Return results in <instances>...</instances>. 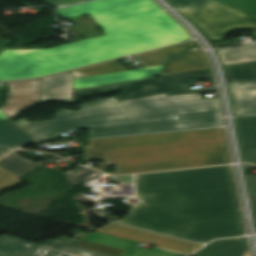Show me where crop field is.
<instances>
[{
  "label": "crop field",
  "mask_w": 256,
  "mask_h": 256,
  "mask_svg": "<svg viewBox=\"0 0 256 256\" xmlns=\"http://www.w3.org/2000/svg\"><path fill=\"white\" fill-rule=\"evenodd\" d=\"M178 119L89 128L90 138L165 132L222 125L220 111L177 114Z\"/></svg>",
  "instance_id": "6"
},
{
  "label": "crop field",
  "mask_w": 256,
  "mask_h": 256,
  "mask_svg": "<svg viewBox=\"0 0 256 256\" xmlns=\"http://www.w3.org/2000/svg\"><path fill=\"white\" fill-rule=\"evenodd\" d=\"M254 206V215L256 216V197H251Z\"/></svg>",
  "instance_id": "44"
},
{
  "label": "crop field",
  "mask_w": 256,
  "mask_h": 256,
  "mask_svg": "<svg viewBox=\"0 0 256 256\" xmlns=\"http://www.w3.org/2000/svg\"><path fill=\"white\" fill-rule=\"evenodd\" d=\"M210 237L222 238L244 235L242 218L195 224Z\"/></svg>",
  "instance_id": "20"
},
{
  "label": "crop field",
  "mask_w": 256,
  "mask_h": 256,
  "mask_svg": "<svg viewBox=\"0 0 256 256\" xmlns=\"http://www.w3.org/2000/svg\"><path fill=\"white\" fill-rule=\"evenodd\" d=\"M96 231L112 234L115 236L179 251L185 254H190L195 249L201 247L202 245L191 243L188 241L151 233L143 230H138L114 223H107L103 227Z\"/></svg>",
  "instance_id": "9"
},
{
  "label": "crop field",
  "mask_w": 256,
  "mask_h": 256,
  "mask_svg": "<svg viewBox=\"0 0 256 256\" xmlns=\"http://www.w3.org/2000/svg\"><path fill=\"white\" fill-rule=\"evenodd\" d=\"M218 52L225 65L254 61L256 60V43H250L244 47L222 49Z\"/></svg>",
  "instance_id": "23"
},
{
  "label": "crop field",
  "mask_w": 256,
  "mask_h": 256,
  "mask_svg": "<svg viewBox=\"0 0 256 256\" xmlns=\"http://www.w3.org/2000/svg\"><path fill=\"white\" fill-rule=\"evenodd\" d=\"M0 165L19 177L35 169L41 164L27 161L13 152L4 159L0 160Z\"/></svg>",
  "instance_id": "25"
},
{
  "label": "crop field",
  "mask_w": 256,
  "mask_h": 256,
  "mask_svg": "<svg viewBox=\"0 0 256 256\" xmlns=\"http://www.w3.org/2000/svg\"><path fill=\"white\" fill-rule=\"evenodd\" d=\"M180 141L176 132L90 140L85 152Z\"/></svg>",
  "instance_id": "10"
},
{
  "label": "crop field",
  "mask_w": 256,
  "mask_h": 256,
  "mask_svg": "<svg viewBox=\"0 0 256 256\" xmlns=\"http://www.w3.org/2000/svg\"><path fill=\"white\" fill-rule=\"evenodd\" d=\"M255 220H256V217H255Z\"/></svg>",
  "instance_id": "47"
},
{
  "label": "crop field",
  "mask_w": 256,
  "mask_h": 256,
  "mask_svg": "<svg viewBox=\"0 0 256 256\" xmlns=\"http://www.w3.org/2000/svg\"><path fill=\"white\" fill-rule=\"evenodd\" d=\"M12 150H14V149H12V148H2V147H0V157H2V156H4L5 154L11 152Z\"/></svg>",
  "instance_id": "42"
},
{
  "label": "crop field",
  "mask_w": 256,
  "mask_h": 256,
  "mask_svg": "<svg viewBox=\"0 0 256 256\" xmlns=\"http://www.w3.org/2000/svg\"><path fill=\"white\" fill-rule=\"evenodd\" d=\"M137 198L141 201L140 204L132 206L124 219L115 222L197 243L212 240L156 195L137 196Z\"/></svg>",
  "instance_id": "5"
},
{
  "label": "crop field",
  "mask_w": 256,
  "mask_h": 256,
  "mask_svg": "<svg viewBox=\"0 0 256 256\" xmlns=\"http://www.w3.org/2000/svg\"><path fill=\"white\" fill-rule=\"evenodd\" d=\"M197 48L198 47L193 48L177 57L172 58L161 71L160 75L210 67L204 52L196 51L195 49Z\"/></svg>",
  "instance_id": "16"
},
{
  "label": "crop field",
  "mask_w": 256,
  "mask_h": 256,
  "mask_svg": "<svg viewBox=\"0 0 256 256\" xmlns=\"http://www.w3.org/2000/svg\"><path fill=\"white\" fill-rule=\"evenodd\" d=\"M181 141L225 136L223 128L177 132Z\"/></svg>",
  "instance_id": "32"
},
{
  "label": "crop field",
  "mask_w": 256,
  "mask_h": 256,
  "mask_svg": "<svg viewBox=\"0 0 256 256\" xmlns=\"http://www.w3.org/2000/svg\"><path fill=\"white\" fill-rule=\"evenodd\" d=\"M49 241H51V240H48L42 246H45V247H48L51 249H53V248L56 249L58 247L59 249L57 251H60V252L66 253V254H71V255H74L78 251L82 250V251L91 253L90 256H109V255H105V254L91 251L88 249L73 246L77 241L67 239L63 236H61L57 240L53 241V243H50Z\"/></svg>",
  "instance_id": "29"
},
{
  "label": "crop field",
  "mask_w": 256,
  "mask_h": 256,
  "mask_svg": "<svg viewBox=\"0 0 256 256\" xmlns=\"http://www.w3.org/2000/svg\"><path fill=\"white\" fill-rule=\"evenodd\" d=\"M11 40L0 39V53L6 49Z\"/></svg>",
  "instance_id": "41"
},
{
  "label": "crop field",
  "mask_w": 256,
  "mask_h": 256,
  "mask_svg": "<svg viewBox=\"0 0 256 256\" xmlns=\"http://www.w3.org/2000/svg\"><path fill=\"white\" fill-rule=\"evenodd\" d=\"M246 248L221 241H214L192 256H243Z\"/></svg>",
  "instance_id": "24"
},
{
  "label": "crop field",
  "mask_w": 256,
  "mask_h": 256,
  "mask_svg": "<svg viewBox=\"0 0 256 256\" xmlns=\"http://www.w3.org/2000/svg\"><path fill=\"white\" fill-rule=\"evenodd\" d=\"M80 111H56L55 119L27 122L15 121L38 139L54 136L69 129L134 123L166 119L165 112L184 113L220 110L217 98L201 99L199 94L169 96L159 94L119 103L106 98L78 106Z\"/></svg>",
  "instance_id": "3"
},
{
  "label": "crop field",
  "mask_w": 256,
  "mask_h": 256,
  "mask_svg": "<svg viewBox=\"0 0 256 256\" xmlns=\"http://www.w3.org/2000/svg\"><path fill=\"white\" fill-rule=\"evenodd\" d=\"M141 16L103 25L107 35L26 55L0 54V80L30 78L101 62L184 41L190 36L179 24H157L156 4L147 0L125 5Z\"/></svg>",
  "instance_id": "1"
},
{
  "label": "crop field",
  "mask_w": 256,
  "mask_h": 256,
  "mask_svg": "<svg viewBox=\"0 0 256 256\" xmlns=\"http://www.w3.org/2000/svg\"><path fill=\"white\" fill-rule=\"evenodd\" d=\"M10 85L8 103L2 110L12 119L21 109L40 99L38 79L7 82Z\"/></svg>",
  "instance_id": "11"
},
{
  "label": "crop field",
  "mask_w": 256,
  "mask_h": 256,
  "mask_svg": "<svg viewBox=\"0 0 256 256\" xmlns=\"http://www.w3.org/2000/svg\"><path fill=\"white\" fill-rule=\"evenodd\" d=\"M125 70L126 69L115 60V61H111V62H107V63L95 65V66L74 70L72 71V79L125 71Z\"/></svg>",
  "instance_id": "26"
},
{
  "label": "crop field",
  "mask_w": 256,
  "mask_h": 256,
  "mask_svg": "<svg viewBox=\"0 0 256 256\" xmlns=\"http://www.w3.org/2000/svg\"><path fill=\"white\" fill-rule=\"evenodd\" d=\"M163 66L164 65L83 79H75L72 80L73 89H82L92 86L106 85L140 78L152 77L155 76Z\"/></svg>",
  "instance_id": "13"
},
{
  "label": "crop field",
  "mask_w": 256,
  "mask_h": 256,
  "mask_svg": "<svg viewBox=\"0 0 256 256\" xmlns=\"http://www.w3.org/2000/svg\"><path fill=\"white\" fill-rule=\"evenodd\" d=\"M235 116L256 115V81L229 82Z\"/></svg>",
  "instance_id": "12"
},
{
  "label": "crop field",
  "mask_w": 256,
  "mask_h": 256,
  "mask_svg": "<svg viewBox=\"0 0 256 256\" xmlns=\"http://www.w3.org/2000/svg\"><path fill=\"white\" fill-rule=\"evenodd\" d=\"M184 75H212V73L211 69L208 68L160 76L155 80V83L123 89L125 93L115 95L114 98L117 99L119 102H122L159 93H167V95L186 94Z\"/></svg>",
  "instance_id": "8"
},
{
  "label": "crop field",
  "mask_w": 256,
  "mask_h": 256,
  "mask_svg": "<svg viewBox=\"0 0 256 256\" xmlns=\"http://www.w3.org/2000/svg\"><path fill=\"white\" fill-rule=\"evenodd\" d=\"M85 159L102 157L104 165H127L171 159L173 168L230 163L225 137L145 147L83 153Z\"/></svg>",
  "instance_id": "4"
},
{
  "label": "crop field",
  "mask_w": 256,
  "mask_h": 256,
  "mask_svg": "<svg viewBox=\"0 0 256 256\" xmlns=\"http://www.w3.org/2000/svg\"><path fill=\"white\" fill-rule=\"evenodd\" d=\"M244 256H249V255H248V251H246V253H245V255H244Z\"/></svg>",
  "instance_id": "46"
},
{
  "label": "crop field",
  "mask_w": 256,
  "mask_h": 256,
  "mask_svg": "<svg viewBox=\"0 0 256 256\" xmlns=\"http://www.w3.org/2000/svg\"><path fill=\"white\" fill-rule=\"evenodd\" d=\"M225 68L231 81L256 80V61L225 66Z\"/></svg>",
  "instance_id": "28"
},
{
  "label": "crop field",
  "mask_w": 256,
  "mask_h": 256,
  "mask_svg": "<svg viewBox=\"0 0 256 256\" xmlns=\"http://www.w3.org/2000/svg\"><path fill=\"white\" fill-rule=\"evenodd\" d=\"M169 169H173V168L171 165V161L167 160V161L115 167V174H131V173L169 170Z\"/></svg>",
  "instance_id": "27"
},
{
  "label": "crop field",
  "mask_w": 256,
  "mask_h": 256,
  "mask_svg": "<svg viewBox=\"0 0 256 256\" xmlns=\"http://www.w3.org/2000/svg\"><path fill=\"white\" fill-rule=\"evenodd\" d=\"M189 78H193L194 80L189 81L188 80ZM210 78H213V77L212 76H185L186 86L188 84H192L194 82H197V81H200V80H204V79H210ZM186 90H187V88H186ZM210 91H216V87L205 88V89H201V90H191V91L187 90V94H190V93H203V92H210Z\"/></svg>",
  "instance_id": "36"
},
{
  "label": "crop field",
  "mask_w": 256,
  "mask_h": 256,
  "mask_svg": "<svg viewBox=\"0 0 256 256\" xmlns=\"http://www.w3.org/2000/svg\"><path fill=\"white\" fill-rule=\"evenodd\" d=\"M41 103L60 100L72 102L71 71L39 79Z\"/></svg>",
  "instance_id": "14"
},
{
  "label": "crop field",
  "mask_w": 256,
  "mask_h": 256,
  "mask_svg": "<svg viewBox=\"0 0 256 256\" xmlns=\"http://www.w3.org/2000/svg\"><path fill=\"white\" fill-rule=\"evenodd\" d=\"M33 141L35 140L16 125L0 120V146L17 148Z\"/></svg>",
  "instance_id": "22"
},
{
  "label": "crop field",
  "mask_w": 256,
  "mask_h": 256,
  "mask_svg": "<svg viewBox=\"0 0 256 256\" xmlns=\"http://www.w3.org/2000/svg\"><path fill=\"white\" fill-rule=\"evenodd\" d=\"M101 173L96 172L94 170L88 169L86 167L80 166L73 172L69 171L64 176L68 179L72 184L78 185L83 182H88L99 177Z\"/></svg>",
  "instance_id": "33"
},
{
  "label": "crop field",
  "mask_w": 256,
  "mask_h": 256,
  "mask_svg": "<svg viewBox=\"0 0 256 256\" xmlns=\"http://www.w3.org/2000/svg\"><path fill=\"white\" fill-rule=\"evenodd\" d=\"M211 10L212 13L205 11ZM201 28L212 40L221 41L233 29L256 28V17L248 19L244 14L223 4L183 13Z\"/></svg>",
  "instance_id": "7"
},
{
  "label": "crop field",
  "mask_w": 256,
  "mask_h": 256,
  "mask_svg": "<svg viewBox=\"0 0 256 256\" xmlns=\"http://www.w3.org/2000/svg\"><path fill=\"white\" fill-rule=\"evenodd\" d=\"M91 16L98 22L99 25L138 16L122 7L91 14Z\"/></svg>",
  "instance_id": "30"
},
{
  "label": "crop field",
  "mask_w": 256,
  "mask_h": 256,
  "mask_svg": "<svg viewBox=\"0 0 256 256\" xmlns=\"http://www.w3.org/2000/svg\"><path fill=\"white\" fill-rule=\"evenodd\" d=\"M137 195L156 194L193 223L242 217L231 166L136 176Z\"/></svg>",
  "instance_id": "2"
},
{
  "label": "crop field",
  "mask_w": 256,
  "mask_h": 256,
  "mask_svg": "<svg viewBox=\"0 0 256 256\" xmlns=\"http://www.w3.org/2000/svg\"><path fill=\"white\" fill-rule=\"evenodd\" d=\"M34 244L21 241L9 236L0 237V256H23L28 250H30ZM54 250L37 246L34 247L25 256H49ZM60 252H55L51 256H58ZM60 256H66V254H61Z\"/></svg>",
  "instance_id": "18"
},
{
  "label": "crop field",
  "mask_w": 256,
  "mask_h": 256,
  "mask_svg": "<svg viewBox=\"0 0 256 256\" xmlns=\"http://www.w3.org/2000/svg\"><path fill=\"white\" fill-rule=\"evenodd\" d=\"M221 241H225V242H228V243H232V244H235V245H239V246L248 248L246 238L224 239V240H221Z\"/></svg>",
  "instance_id": "40"
},
{
  "label": "crop field",
  "mask_w": 256,
  "mask_h": 256,
  "mask_svg": "<svg viewBox=\"0 0 256 256\" xmlns=\"http://www.w3.org/2000/svg\"><path fill=\"white\" fill-rule=\"evenodd\" d=\"M235 120L244 162L256 164V117Z\"/></svg>",
  "instance_id": "17"
},
{
  "label": "crop field",
  "mask_w": 256,
  "mask_h": 256,
  "mask_svg": "<svg viewBox=\"0 0 256 256\" xmlns=\"http://www.w3.org/2000/svg\"><path fill=\"white\" fill-rule=\"evenodd\" d=\"M195 44L194 42L183 43V44L135 55L134 57L138 59L146 67L162 65V64H166L172 56L190 47L195 46Z\"/></svg>",
  "instance_id": "21"
},
{
  "label": "crop field",
  "mask_w": 256,
  "mask_h": 256,
  "mask_svg": "<svg viewBox=\"0 0 256 256\" xmlns=\"http://www.w3.org/2000/svg\"><path fill=\"white\" fill-rule=\"evenodd\" d=\"M143 0H97L85 4H80L64 9L57 10L58 14L63 18L68 19L72 17L82 16L86 14H91L115 7H119L121 5L134 3Z\"/></svg>",
  "instance_id": "19"
},
{
  "label": "crop field",
  "mask_w": 256,
  "mask_h": 256,
  "mask_svg": "<svg viewBox=\"0 0 256 256\" xmlns=\"http://www.w3.org/2000/svg\"><path fill=\"white\" fill-rule=\"evenodd\" d=\"M248 189L251 196H256V175L255 176H246Z\"/></svg>",
  "instance_id": "38"
},
{
  "label": "crop field",
  "mask_w": 256,
  "mask_h": 256,
  "mask_svg": "<svg viewBox=\"0 0 256 256\" xmlns=\"http://www.w3.org/2000/svg\"><path fill=\"white\" fill-rule=\"evenodd\" d=\"M175 8L179 7V11L184 12L188 10H193L201 7H206L210 5L219 4L218 2L212 0H167Z\"/></svg>",
  "instance_id": "34"
},
{
  "label": "crop field",
  "mask_w": 256,
  "mask_h": 256,
  "mask_svg": "<svg viewBox=\"0 0 256 256\" xmlns=\"http://www.w3.org/2000/svg\"><path fill=\"white\" fill-rule=\"evenodd\" d=\"M244 13H256V0H216Z\"/></svg>",
  "instance_id": "35"
},
{
  "label": "crop field",
  "mask_w": 256,
  "mask_h": 256,
  "mask_svg": "<svg viewBox=\"0 0 256 256\" xmlns=\"http://www.w3.org/2000/svg\"><path fill=\"white\" fill-rule=\"evenodd\" d=\"M76 255H77V256H89L90 254L80 251V252L77 253Z\"/></svg>",
  "instance_id": "45"
},
{
  "label": "crop field",
  "mask_w": 256,
  "mask_h": 256,
  "mask_svg": "<svg viewBox=\"0 0 256 256\" xmlns=\"http://www.w3.org/2000/svg\"><path fill=\"white\" fill-rule=\"evenodd\" d=\"M216 47H219V46H227V45H230L229 41H226V42H223V43H215Z\"/></svg>",
  "instance_id": "43"
},
{
  "label": "crop field",
  "mask_w": 256,
  "mask_h": 256,
  "mask_svg": "<svg viewBox=\"0 0 256 256\" xmlns=\"http://www.w3.org/2000/svg\"><path fill=\"white\" fill-rule=\"evenodd\" d=\"M158 9V14H159V18H160V22L161 24L166 27V26H170L173 24H177V22L175 20H173L167 13H165L161 8H159L157 6Z\"/></svg>",
  "instance_id": "37"
},
{
  "label": "crop field",
  "mask_w": 256,
  "mask_h": 256,
  "mask_svg": "<svg viewBox=\"0 0 256 256\" xmlns=\"http://www.w3.org/2000/svg\"><path fill=\"white\" fill-rule=\"evenodd\" d=\"M84 240L127 250L121 256H182V254L157 249L155 247L150 250L132 248L135 244H137L136 242L111 235L100 234L97 232L91 233Z\"/></svg>",
  "instance_id": "15"
},
{
  "label": "crop field",
  "mask_w": 256,
  "mask_h": 256,
  "mask_svg": "<svg viewBox=\"0 0 256 256\" xmlns=\"http://www.w3.org/2000/svg\"><path fill=\"white\" fill-rule=\"evenodd\" d=\"M153 78L154 77L135 80V81H129V82H123L118 84L106 85V86L93 87V88L83 89V90H73V94L76 98H79V97L87 96L90 92L95 90L117 91V90H120L121 87L152 82Z\"/></svg>",
  "instance_id": "31"
},
{
  "label": "crop field",
  "mask_w": 256,
  "mask_h": 256,
  "mask_svg": "<svg viewBox=\"0 0 256 256\" xmlns=\"http://www.w3.org/2000/svg\"><path fill=\"white\" fill-rule=\"evenodd\" d=\"M45 1L52 3V4H56L58 6H65V5L83 2V1H87V0H45Z\"/></svg>",
  "instance_id": "39"
}]
</instances>
